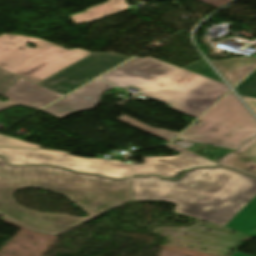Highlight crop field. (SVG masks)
Listing matches in <instances>:
<instances>
[{
  "mask_svg": "<svg viewBox=\"0 0 256 256\" xmlns=\"http://www.w3.org/2000/svg\"><path fill=\"white\" fill-rule=\"evenodd\" d=\"M25 187L61 194L89 215L78 218L32 212L15 203L13 193ZM132 200L130 181H110L49 167H7L0 159V216L32 231L62 234Z\"/></svg>",
  "mask_w": 256,
  "mask_h": 256,
  "instance_id": "1",
  "label": "crop field"
},
{
  "mask_svg": "<svg viewBox=\"0 0 256 256\" xmlns=\"http://www.w3.org/2000/svg\"><path fill=\"white\" fill-rule=\"evenodd\" d=\"M131 188L133 200L170 202L176 205L174 212L224 226L256 194V178L213 168L179 182L134 178Z\"/></svg>",
  "mask_w": 256,
  "mask_h": 256,
  "instance_id": "2",
  "label": "crop field"
},
{
  "mask_svg": "<svg viewBox=\"0 0 256 256\" xmlns=\"http://www.w3.org/2000/svg\"><path fill=\"white\" fill-rule=\"evenodd\" d=\"M100 79L121 88L135 86L142 95L195 118L229 90L223 83L150 57H136Z\"/></svg>",
  "mask_w": 256,
  "mask_h": 256,
  "instance_id": "3",
  "label": "crop field"
},
{
  "mask_svg": "<svg viewBox=\"0 0 256 256\" xmlns=\"http://www.w3.org/2000/svg\"><path fill=\"white\" fill-rule=\"evenodd\" d=\"M35 44V48L25 46ZM91 52L66 50L44 40L11 34L0 35V67L35 83Z\"/></svg>",
  "mask_w": 256,
  "mask_h": 256,
  "instance_id": "4",
  "label": "crop field"
},
{
  "mask_svg": "<svg viewBox=\"0 0 256 256\" xmlns=\"http://www.w3.org/2000/svg\"><path fill=\"white\" fill-rule=\"evenodd\" d=\"M198 121L202 123L192 125L179 138L237 149L256 135V119L233 93H228Z\"/></svg>",
  "mask_w": 256,
  "mask_h": 256,
  "instance_id": "5",
  "label": "crop field"
},
{
  "mask_svg": "<svg viewBox=\"0 0 256 256\" xmlns=\"http://www.w3.org/2000/svg\"><path fill=\"white\" fill-rule=\"evenodd\" d=\"M0 156H3L7 163L12 165L47 164L110 178L130 176V164H125L122 161L86 159L62 152L2 148H0Z\"/></svg>",
  "mask_w": 256,
  "mask_h": 256,
  "instance_id": "6",
  "label": "crop field"
},
{
  "mask_svg": "<svg viewBox=\"0 0 256 256\" xmlns=\"http://www.w3.org/2000/svg\"><path fill=\"white\" fill-rule=\"evenodd\" d=\"M127 59L112 51L108 53H92L38 84L64 95Z\"/></svg>",
  "mask_w": 256,
  "mask_h": 256,
  "instance_id": "7",
  "label": "crop field"
},
{
  "mask_svg": "<svg viewBox=\"0 0 256 256\" xmlns=\"http://www.w3.org/2000/svg\"><path fill=\"white\" fill-rule=\"evenodd\" d=\"M165 146L180 152V155L175 157L143 158L144 164H132V175L157 174L162 177H173L177 173L183 172L189 168L218 165L215 162L199 157L172 143Z\"/></svg>",
  "mask_w": 256,
  "mask_h": 256,
  "instance_id": "8",
  "label": "crop field"
},
{
  "mask_svg": "<svg viewBox=\"0 0 256 256\" xmlns=\"http://www.w3.org/2000/svg\"><path fill=\"white\" fill-rule=\"evenodd\" d=\"M113 87L94 80L42 111L61 119L72 112L94 108L98 105L102 93Z\"/></svg>",
  "mask_w": 256,
  "mask_h": 256,
  "instance_id": "9",
  "label": "crop field"
},
{
  "mask_svg": "<svg viewBox=\"0 0 256 256\" xmlns=\"http://www.w3.org/2000/svg\"><path fill=\"white\" fill-rule=\"evenodd\" d=\"M0 95L9 99L0 102V110L13 105L38 109L62 96L23 78L16 80Z\"/></svg>",
  "mask_w": 256,
  "mask_h": 256,
  "instance_id": "10",
  "label": "crop field"
},
{
  "mask_svg": "<svg viewBox=\"0 0 256 256\" xmlns=\"http://www.w3.org/2000/svg\"><path fill=\"white\" fill-rule=\"evenodd\" d=\"M222 165L256 176V137L246 143L240 150L228 154Z\"/></svg>",
  "mask_w": 256,
  "mask_h": 256,
  "instance_id": "11",
  "label": "crop field"
},
{
  "mask_svg": "<svg viewBox=\"0 0 256 256\" xmlns=\"http://www.w3.org/2000/svg\"><path fill=\"white\" fill-rule=\"evenodd\" d=\"M225 79L234 86L256 66V58L238 57L223 61H211Z\"/></svg>",
  "mask_w": 256,
  "mask_h": 256,
  "instance_id": "12",
  "label": "crop field"
},
{
  "mask_svg": "<svg viewBox=\"0 0 256 256\" xmlns=\"http://www.w3.org/2000/svg\"><path fill=\"white\" fill-rule=\"evenodd\" d=\"M225 226L253 236L256 233V195Z\"/></svg>",
  "mask_w": 256,
  "mask_h": 256,
  "instance_id": "13",
  "label": "crop field"
},
{
  "mask_svg": "<svg viewBox=\"0 0 256 256\" xmlns=\"http://www.w3.org/2000/svg\"><path fill=\"white\" fill-rule=\"evenodd\" d=\"M129 8L125 0H109L107 3L88 8L84 13L70 16L77 24Z\"/></svg>",
  "mask_w": 256,
  "mask_h": 256,
  "instance_id": "14",
  "label": "crop field"
},
{
  "mask_svg": "<svg viewBox=\"0 0 256 256\" xmlns=\"http://www.w3.org/2000/svg\"><path fill=\"white\" fill-rule=\"evenodd\" d=\"M117 119L121 120V121H123V122H125L127 124H130V125H132L134 127H137V128H139V129H141L143 131H146V132H148L150 134H153V135H155V136H157L159 138H162V139H164L166 141H170L176 135H178V133H174V132H171V131H167V130H163V129H158V128H153V127L148 126L146 124H143V123H141L139 121H136V120H134L132 118H129V117L125 116V115H123V116H121V117H119Z\"/></svg>",
  "mask_w": 256,
  "mask_h": 256,
  "instance_id": "15",
  "label": "crop field"
},
{
  "mask_svg": "<svg viewBox=\"0 0 256 256\" xmlns=\"http://www.w3.org/2000/svg\"><path fill=\"white\" fill-rule=\"evenodd\" d=\"M234 89L239 95L256 98V70Z\"/></svg>",
  "mask_w": 256,
  "mask_h": 256,
  "instance_id": "16",
  "label": "crop field"
},
{
  "mask_svg": "<svg viewBox=\"0 0 256 256\" xmlns=\"http://www.w3.org/2000/svg\"><path fill=\"white\" fill-rule=\"evenodd\" d=\"M184 69L199 74L201 76L222 82L203 59L185 67Z\"/></svg>",
  "mask_w": 256,
  "mask_h": 256,
  "instance_id": "17",
  "label": "crop field"
},
{
  "mask_svg": "<svg viewBox=\"0 0 256 256\" xmlns=\"http://www.w3.org/2000/svg\"><path fill=\"white\" fill-rule=\"evenodd\" d=\"M0 146L6 147H27V148H39V145L31 144L28 142L20 141L17 139L9 138L3 135H0Z\"/></svg>",
  "mask_w": 256,
  "mask_h": 256,
  "instance_id": "18",
  "label": "crop field"
},
{
  "mask_svg": "<svg viewBox=\"0 0 256 256\" xmlns=\"http://www.w3.org/2000/svg\"><path fill=\"white\" fill-rule=\"evenodd\" d=\"M19 76L0 68V93L12 84Z\"/></svg>",
  "mask_w": 256,
  "mask_h": 256,
  "instance_id": "19",
  "label": "crop field"
},
{
  "mask_svg": "<svg viewBox=\"0 0 256 256\" xmlns=\"http://www.w3.org/2000/svg\"><path fill=\"white\" fill-rule=\"evenodd\" d=\"M210 6L220 8L232 0H197Z\"/></svg>",
  "mask_w": 256,
  "mask_h": 256,
  "instance_id": "20",
  "label": "crop field"
},
{
  "mask_svg": "<svg viewBox=\"0 0 256 256\" xmlns=\"http://www.w3.org/2000/svg\"><path fill=\"white\" fill-rule=\"evenodd\" d=\"M244 100L247 102V104L252 108V110L256 113V100L244 98Z\"/></svg>",
  "mask_w": 256,
  "mask_h": 256,
  "instance_id": "21",
  "label": "crop field"
},
{
  "mask_svg": "<svg viewBox=\"0 0 256 256\" xmlns=\"http://www.w3.org/2000/svg\"><path fill=\"white\" fill-rule=\"evenodd\" d=\"M233 256H251V255H245V254H240V253L236 252Z\"/></svg>",
  "mask_w": 256,
  "mask_h": 256,
  "instance_id": "22",
  "label": "crop field"
}]
</instances>
